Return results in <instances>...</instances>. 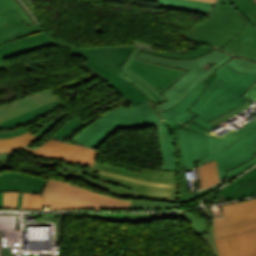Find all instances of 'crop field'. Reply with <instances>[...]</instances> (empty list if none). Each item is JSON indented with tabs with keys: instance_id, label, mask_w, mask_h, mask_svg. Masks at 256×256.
Instances as JSON below:
<instances>
[{
	"instance_id": "c035e120",
	"label": "crop field",
	"mask_w": 256,
	"mask_h": 256,
	"mask_svg": "<svg viewBox=\"0 0 256 256\" xmlns=\"http://www.w3.org/2000/svg\"><path fill=\"white\" fill-rule=\"evenodd\" d=\"M41 194H30L27 209H42L43 199Z\"/></svg>"
},
{
	"instance_id": "d23c7cc5",
	"label": "crop field",
	"mask_w": 256,
	"mask_h": 256,
	"mask_svg": "<svg viewBox=\"0 0 256 256\" xmlns=\"http://www.w3.org/2000/svg\"><path fill=\"white\" fill-rule=\"evenodd\" d=\"M5 68H7L5 62H1L0 63V69H5Z\"/></svg>"
},
{
	"instance_id": "c21b1889",
	"label": "crop field",
	"mask_w": 256,
	"mask_h": 256,
	"mask_svg": "<svg viewBox=\"0 0 256 256\" xmlns=\"http://www.w3.org/2000/svg\"><path fill=\"white\" fill-rule=\"evenodd\" d=\"M25 6L30 10V12L32 13V15L35 17V19L38 21L37 19V14H36V10H35V6L34 4L31 2V0H21Z\"/></svg>"
},
{
	"instance_id": "a9b5d70f",
	"label": "crop field",
	"mask_w": 256,
	"mask_h": 256,
	"mask_svg": "<svg viewBox=\"0 0 256 256\" xmlns=\"http://www.w3.org/2000/svg\"><path fill=\"white\" fill-rule=\"evenodd\" d=\"M173 134V140L175 142L176 151L179 158V165H178V186H179V193H189L188 184H187V177L185 173V167L183 163V156L181 145L178 137V132L175 131Z\"/></svg>"
},
{
	"instance_id": "4a817a6b",
	"label": "crop field",
	"mask_w": 256,
	"mask_h": 256,
	"mask_svg": "<svg viewBox=\"0 0 256 256\" xmlns=\"http://www.w3.org/2000/svg\"><path fill=\"white\" fill-rule=\"evenodd\" d=\"M110 48L111 47L94 48V49L71 48L69 53L83 56V57L89 59L90 61H92L94 64H96L101 69L106 66L118 74L120 71H122V69L104 59L105 55L110 50Z\"/></svg>"
},
{
	"instance_id": "ac0d7876",
	"label": "crop field",
	"mask_w": 256,
	"mask_h": 256,
	"mask_svg": "<svg viewBox=\"0 0 256 256\" xmlns=\"http://www.w3.org/2000/svg\"><path fill=\"white\" fill-rule=\"evenodd\" d=\"M137 57L147 61L187 70V72L179 80H177L162 94L168 100L156 107V110L160 113L180 102L182 98L188 94L199 81L205 82V80L213 74V71L216 68L224 64L232 56L215 50L195 60L168 59L155 55H149L143 52H140ZM212 62L217 63L210 70L207 71L200 68L203 64Z\"/></svg>"
},
{
	"instance_id": "425ffa30",
	"label": "crop field",
	"mask_w": 256,
	"mask_h": 256,
	"mask_svg": "<svg viewBox=\"0 0 256 256\" xmlns=\"http://www.w3.org/2000/svg\"><path fill=\"white\" fill-rule=\"evenodd\" d=\"M200 1H206V2H212L215 3L216 0H200Z\"/></svg>"
},
{
	"instance_id": "d32e631a",
	"label": "crop field",
	"mask_w": 256,
	"mask_h": 256,
	"mask_svg": "<svg viewBox=\"0 0 256 256\" xmlns=\"http://www.w3.org/2000/svg\"><path fill=\"white\" fill-rule=\"evenodd\" d=\"M224 181H222L221 183H219L218 185L210 188V189H205V190H201L199 192L196 193H191V194H180V200L179 203H187L189 201L195 200L201 196H203L204 194H206L207 192L216 189L218 186H220Z\"/></svg>"
},
{
	"instance_id": "25e5ab78",
	"label": "crop field",
	"mask_w": 256,
	"mask_h": 256,
	"mask_svg": "<svg viewBox=\"0 0 256 256\" xmlns=\"http://www.w3.org/2000/svg\"><path fill=\"white\" fill-rule=\"evenodd\" d=\"M179 206H181V205H176V207H175V208H177V207H179Z\"/></svg>"
},
{
	"instance_id": "0bd39190",
	"label": "crop field",
	"mask_w": 256,
	"mask_h": 256,
	"mask_svg": "<svg viewBox=\"0 0 256 256\" xmlns=\"http://www.w3.org/2000/svg\"><path fill=\"white\" fill-rule=\"evenodd\" d=\"M206 243L211 247L214 256H219L217 247H216V239H215V232L214 226H209V235L202 236Z\"/></svg>"
},
{
	"instance_id": "733c2abd",
	"label": "crop field",
	"mask_w": 256,
	"mask_h": 256,
	"mask_svg": "<svg viewBox=\"0 0 256 256\" xmlns=\"http://www.w3.org/2000/svg\"><path fill=\"white\" fill-rule=\"evenodd\" d=\"M159 2L157 7L207 14L212 3L194 0H149Z\"/></svg>"
},
{
	"instance_id": "dd49c442",
	"label": "crop field",
	"mask_w": 256,
	"mask_h": 256,
	"mask_svg": "<svg viewBox=\"0 0 256 256\" xmlns=\"http://www.w3.org/2000/svg\"><path fill=\"white\" fill-rule=\"evenodd\" d=\"M220 256H256V220L215 226Z\"/></svg>"
},
{
	"instance_id": "b54c1fbb",
	"label": "crop field",
	"mask_w": 256,
	"mask_h": 256,
	"mask_svg": "<svg viewBox=\"0 0 256 256\" xmlns=\"http://www.w3.org/2000/svg\"><path fill=\"white\" fill-rule=\"evenodd\" d=\"M28 197H29V193H24L23 203H22V208L21 209H26Z\"/></svg>"
},
{
	"instance_id": "b80d0937",
	"label": "crop field",
	"mask_w": 256,
	"mask_h": 256,
	"mask_svg": "<svg viewBox=\"0 0 256 256\" xmlns=\"http://www.w3.org/2000/svg\"><path fill=\"white\" fill-rule=\"evenodd\" d=\"M50 44L61 45V44H58V43H56V42L50 40V41H47V42H45V43L39 44V45L34 46V47H31V48H27V49H23V50L11 52V53L6 54V55H2V56H0V62H1V61H4L3 59L6 58V57H10V56L17 55V54H20V53H24V52H28V51H31V50H35V49H38V48H42V47L48 46V45H50Z\"/></svg>"
},
{
	"instance_id": "5866460e",
	"label": "crop field",
	"mask_w": 256,
	"mask_h": 256,
	"mask_svg": "<svg viewBox=\"0 0 256 256\" xmlns=\"http://www.w3.org/2000/svg\"><path fill=\"white\" fill-rule=\"evenodd\" d=\"M18 192H4L3 209H16Z\"/></svg>"
},
{
	"instance_id": "bd1437ed",
	"label": "crop field",
	"mask_w": 256,
	"mask_h": 256,
	"mask_svg": "<svg viewBox=\"0 0 256 256\" xmlns=\"http://www.w3.org/2000/svg\"><path fill=\"white\" fill-rule=\"evenodd\" d=\"M174 205L169 203L132 201L128 209H173Z\"/></svg>"
},
{
	"instance_id": "8a807250",
	"label": "crop field",
	"mask_w": 256,
	"mask_h": 256,
	"mask_svg": "<svg viewBox=\"0 0 256 256\" xmlns=\"http://www.w3.org/2000/svg\"><path fill=\"white\" fill-rule=\"evenodd\" d=\"M255 80L256 74L237 73L224 64L168 111L159 114L147 102L129 108L121 105L89 125L72 143L97 149L118 129L156 127L163 158L160 170H177L170 132L178 129L186 171L216 159L221 181L228 169L256 157V119L220 136L211 131L220 124L214 127L207 121L243 103L251 106L239 96Z\"/></svg>"
},
{
	"instance_id": "28ad6ade",
	"label": "crop field",
	"mask_w": 256,
	"mask_h": 256,
	"mask_svg": "<svg viewBox=\"0 0 256 256\" xmlns=\"http://www.w3.org/2000/svg\"><path fill=\"white\" fill-rule=\"evenodd\" d=\"M84 64L88 65L89 67L93 68L97 72L101 73L105 78L110 80L107 84L113 87L117 92H119L124 98H126L132 106L150 100L146 95H144L141 90L136 88L134 85L130 84L116 73L112 72L111 70L98 68L92 62L87 60Z\"/></svg>"
},
{
	"instance_id": "d8731c3e",
	"label": "crop field",
	"mask_w": 256,
	"mask_h": 256,
	"mask_svg": "<svg viewBox=\"0 0 256 256\" xmlns=\"http://www.w3.org/2000/svg\"><path fill=\"white\" fill-rule=\"evenodd\" d=\"M34 154L67 161L91 165L93 164L98 152L65 142L49 139L36 149L24 148Z\"/></svg>"
},
{
	"instance_id": "120bbe31",
	"label": "crop field",
	"mask_w": 256,
	"mask_h": 256,
	"mask_svg": "<svg viewBox=\"0 0 256 256\" xmlns=\"http://www.w3.org/2000/svg\"><path fill=\"white\" fill-rule=\"evenodd\" d=\"M92 170L97 171L100 174H104V175H107V176L123 179V180H126V181L138 183V184H143V185H148V186H162V187L178 188L177 185H173V184H163V183L140 181V180L132 179V178H129V177H125V176H121V175H117V174H113V173H109V172H105V171H101V170H96V169H92Z\"/></svg>"
},
{
	"instance_id": "5d738f31",
	"label": "crop field",
	"mask_w": 256,
	"mask_h": 256,
	"mask_svg": "<svg viewBox=\"0 0 256 256\" xmlns=\"http://www.w3.org/2000/svg\"><path fill=\"white\" fill-rule=\"evenodd\" d=\"M3 193H0V209H2Z\"/></svg>"
},
{
	"instance_id": "d1516ede",
	"label": "crop field",
	"mask_w": 256,
	"mask_h": 256,
	"mask_svg": "<svg viewBox=\"0 0 256 256\" xmlns=\"http://www.w3.org/2000/svg\"><path fill=\"white\" fill-rule=\"evenodd\" d=\"M10 23L0 27V44L36 31H42L38 24L26 26L21 17L11 8L1 13Z\"/></svg>"
},
{
	"instance_id": "d3111659",
	"label": "crop field",
	"mask_w": 256,
	"mask_h": 256,
	"mask_svg": "<svg viewBox=\"0 0 256 256\" xmlns=\"http://www.w3.org/2000/svg\"><path fill=\"white\" fill-rule=\"evenodd\" d=\"M226 64H228L237 72L256 73V62H251L234 57Z\"/></svg>"
},
{
	"instance_id": "750c4746",
	"label": "crop field",
	"mask_w": 256,
	"mask_h": 256,
	"mask_svg": "<svg viewBox=\"0 0 256 256\" xmlns=\"http://www.w3.org/2000/svg\"><path fill=\"white\" fill-rule=\"evenodd\" d=\"M84 124L86 123L74 117L65 125H63L52 137L60 140H64L72 130L75 131Z\"/></svg>"
},
{
	"instance_id": "5a996713",
	"label": "crop field",
	"mask_w": 256,
	"mask_h": 256,
	"mask_svg": "<svg viewBox=\"0 0 256 256\" xmlns=\"http://www.w3.org/2000/svg\"><path fill=\"white\" fill-rule=\"evenodd\" d=\"M246 25L243 32L222 50L233 55L256 61V20L250 15L238 12Z\"/></svg>"
},
{
	"instance_id": "e52e79f7",
	"label": "crop field",
	"mask_w": 256,
	"mask_h": 256,
	"mask_svg": "<svg viewBox=\"0 0 256 256\" xmlns=\"http://www.w3.org/2000/svg\"><path fill=\"white\" fill-rule=\"evenodd\" d=\"M92 176L97 177V178L102 179V180H106V181L115 183V184H119V185H123V186H127V187H130V188L139 190V192L131 191V190H125L123 188H119V187H116V186H113V185H109V184H106L104 182H101V181H98V180H95V179H91V178H87V177L83 178L87 182H89L90 184H92L94 186H97V187H100L104 190L111 191V192H113L117 195L146 197L148 199H159V200H166V201L175 202L174 197H175L176 189L161 188V187H148V186L138 185V184H134V183L114 179V178H111V177L103 176V175L98 174L97 172L93 173Z\"/></svg>"
},
{
	"instance_id": "22f410ed",
	"label": "crop field",
	"mask_w": 256,
	"mask_h": 256,
	"mask_svg": "<svg viewBox=\"0 0 256 256\" xmlns=\"http://www.w3.org/2000/svg\"><path fill=\"white\" fill-rule=\"evenodd\" d=\"M93 168L106 170L141 180L177 184V171H155L149 169H142L140 172H136L106 166L98 163H95Z\"/></svg>"
},
{
	"instance_id": "4177f3b9",
	"label": "crop field",
	"mask_w": 256,
	"mask_h": 256,
	"mask_svg": "<svg viewBox=\"0 0 256 256\" xmlns=\"http://www.w3.org/2000/svg\"><path fill=\"white\" fill-rule=\"evenodd\" d=\"M34 138L36 137L29 132L13 138L0 139V152L19 149L29 143Z\"/></svg>"
},
{
	"instance_id": "92a150f3",
	"label": "crop field",
	"mask_w": 256,
	"mask_h": 256,
	"mask_svg": "<svg viewBox=\"0 0 256 256\" xmlns=\"http://www.w3.org/2000/svg\"><path fill=\"white\" fill-rule=\"evenodd\" d=\"M56 99H57L56 96L54 94H52L50 96L35 100L33 102L27 103L25 105H22V106H19L17 108L6 111L4 113H1L0 114V122L4 121V120H7V119H10L12 117H15L17 115H20L22 113H25L27 111H30L32 109H35L37 107H40V106H42L44 104H47L49 102H52Z\"/></svg>"
},
{
	"instance_id": "e1f06a70",
	"label": "crop field",
	"mask_w": 256,
	"mask_h": 256,
	"mask_svg": "<svg viewBox=\"0 0 256 256\" xmlns=\"http://www.w3.org/2000/svg\"><path fill=\"white\" fill-rule=\"evenodd\" d=\"M256 164V158L228 171V179L227 180H230L232 179L233 177L237 176L238 174H240L241 172L247 170L249 167L253 166Z\"/></svg>"
},
{
	"instance_id": "1d83c4d3",
	"label": "crop field",
	"mask_w": 256,
	"mask_h": 256,
	"mask_svg": "<svg viewBox=\"0 0 256 256\" xmlns=\"http://www.w3.org/2000/svg\"><path fill=\"white\" fill-rule=\"evenodd\" d=\"M235 7L243 13H250L256 19V1L255 0H229Z\"/></svg>"
},
{
	"instance_id": "ae1a2a85",
	"label": "crop field",
	"mask_w": 256,
	"mask_h": 256,
	"mask_svg": "<svg viewBox=\"0 0 256 256\" xmlns=\"http://www.w3.org/2000/svg\"><path fill=\"white\" fill-rule=\"evenodd\" d=\"M10 7H12L23 18L26 25L32 23V21L29 19V17L26 15V13L23 11V9L18 5V3L15 0H0V12ZM6 23H8V21L0 15V26Z\"/></svg>"
},
{
	"instance_id": "cbeb9de0",
	"label": "crop field",
	"mask_w": 256,
	"mask_h": 256,
	"mask_svg": "<svg viewBox=\"0 0 256 256\" xmlns=\"http://www.w3.org/2000/svg\"><path fill=\"white\" fill-rule=\"evenodd\" d=\"M224 218L214 220L215 225L256 219V199L222 205Z\"/></svg>"
},
{
	"instance_id": "3316defc",
	"label": "crop field",
	"mask_w": 256,
	"mask_h": 256,
	"mask_svg": "<svg viewBox=\"0 0 256 256\" xmlns=\"http://www.w3.org/2000/svg\"><path fill=\"white\" fill-rule=\"evenodd\" d=\"M46 180L7 173L0 174V192L19 191L17 209L21 208L23 192L41 193L45 187Z\"/></svg>"
},
{
	"instance_id": "34b2d1b8",
	"label": "crop field",
	"mask_w": 256,
	"mask_h": 256,
	"mask_svg": "<svg viewBox=\"0 0 256 256\" xmlns=\"http://www.w3.org/2000/svg\"><path fill=\"white\" fill-rule=\"evenodd\" d=\"M140 51L141 48L135 47L126 63L122 66L124 70L118 75L141 89L156 106L167 100L161 94L179 79L185 73V70L138 59L136 56Z\"/></svg>"
},
{
	"instance_id": "730fd06b",
	"label": "crop field",
	"mask_w": 256,
	"mask_h": 256,
	"mask_svg": "<svg viewBox=\"0 0 256 256\" xmlns=\"http://www.w3.org/2000/svg\"><path fill=\"white\" fill-rule=\"evenodd\" d=\"M134 47L130 46H119V47H112L111 50L106 55L105 59L112 62L113 64L121 67Z\"/></svg>"
},
{
	"instance_id": "d9b57169",
	"label": "crop field",
	"mask_w": 256,
	"mask_h": 256,
	"mask_svg": "<svg viewBox=\"0 0 256 256\" xmlns=\"http://www.w3.org/2000/svg\"><path fill=\"white\" fill-rule=\"evenodd\" d=\"M64 103H62L61 101L57 100V101H54L52 103H49L47 105H44L40 108H37L35 110H32L30 112H27L25 114H22L20 116H17L15 118H12L10 120H7V121H4L2 123H0V128L2 129H8V128H11V127H14V126H18V125H21L29 120H32L60 105H62ZM25 132H28L26 129L24 128H21L19 130H16V131H13V132H10V133H5V134H0V138H8V137H13V136H17V135H20L22 133H25Z\"/></svg>"
},
{
	"instance_id": "f4fd0767",
	"label": "crop field",
	"mask_w": 256,
	"mask_h": 256,
	"mask_svg": "<svg viewBox=\"0 0 256 256\" xmlns=\"http://www.w3.org/2000/svg\"><path fill=\"white\" fill-rule=\"evenodd\" d=\"M236 10L228 0H217L208 17L183 36L221 49L242 32L245 23Z\"/></svg>"
},
{
	"instance_id": "412701ff",
	"label": "crop field",
	"mask_w": 256,
	"mask_h": 256,
	"mask_svg": "<svg viewBox=\"0 0 256 256\" xmlns=\"http://www.w3.org/2000/svg\"><path fill=\"white\" fill-rule=\"evenodd\" d=\"M68 182L49 179L42 193L44 206L51 210L127 209L130 201L88 191Z\"/></svg>"
},
{
	"instance_id": "03da06ac",
	"label": "crop field",
	"mask_w": 256,
	"mask_h": 256,
	"mask_svg": "<svg viewBox=\"0 0 256 256\" xmlns=\"http://www.w3.org/2000/svg\"><path fill=\"white\" fill-rule=\"evenodd\" d=\"M131 43L133 45H139V46H144V47H148V48H152L154 46L153 44L144 43V42H140V41H132Z\"/></svg>"
},
{
	"instance_id": "028f5c9d",
	"label": "crop field",
	"mask_w": 256,
	"mask_h": 256,
	"mask_svg": "<svg viewBox=\"0 0 256 256\" xmlns=\"http://www.w3.org/2000/svg\"><path fill=\"white\" fill-rule=\"evenodd\" d=\"M247 108H249V106L244 104V105H242V106H240L238 108H235V109H233V110H231V111L221 115L220 117H218V118H216L214 120L209 121L208 123H210L212 125H216V124L221 123L222 121L230 118L231 116H233V115H235V114H237V113H239V112H241V111H243V110H245Z\"/></svg>"
},
{
	"instance_id": "eef30255",
	"label": "crop field",
	"mask_w": 256,
	"mask_h": 256,
	"mask_svg": "<svg viewBox=\"0 0 256 256\" xmlns=\"http://www.w3.org/2000/svg\"><path fill=\"white\" fill-rule=\"evenodd\" d=\"M174 214L177 217H183L186 220H188L191 223L195 234H201V235L208 234L207 222L203 218H200L199 216H194L189 213H174Z\"/></svg>"
},
{
	"instance_id": "dafd665d",
	"label": "crop field",
	"mask_w": 256,
	"mask_h": 256,
	"mask_svg": "<svg viewBox=\"0 0 256 256\" xmlns=\"http://www.w3.org/2000/svg\"><path fill=\"white\" fill-rule=\"evenodd\" d=\"M214 50L211 47L204 46L199 49L190 52H159L142 49L143 52L155 54L162 57L177 58V59H194L203 56L204 54Z\"/></svg>"
},
{
	"instance_id": "00972430",
	"label": "crop field",
	"mask_w": 256,
	"mask_h": 256,
	"mask_svg": "<svg viewBox=\"0 0 256 256\" xmlns=\"http://www.w3.org/2000/svg\"><path fill=\"white\" fill-rule=\"evenodd\" d=\"M202 189L212 186L219 182L216 162L213 161L198 167Z\"/></svg>"
},
{
	"instance_id": "bc2a9ffb",
	"label": "crop field",
	"mask_w": 256,
	"mask_h": 256,
	"mask_svg": "<svg viewBox=\"0 0 256 256\" xmlns=\"http://www.w3.org/2000/svg\"><path fill=\"white\" fill-rule=\"evenodd\" d=\"M36 165L40 166H53L56 169L57 164H52L48 162H43V161H36ZM91 167L87 165H82V164H77V163H72V162H67L63 161V165L60 170L56 172V175L63 176L65 178H82L85 174L91 175L93 171L89 170ZM54 169V170H55Z\"/></svg>"
},
{
	"instance_id": "214f88e0",
	"label": "crop field",
	"mask_w": 256,
	"mask_h": 256,
	"mask_svg": "<svg viewBox=\"0 0 256 256\" xmlns=\"http://www.w3.org/2000/svg\"><path fill=\"white\" fill-rule=\"evenodd\" d=\"M47 40H50V39L46 36L45 32H42L38 35H34L31 37H27V38L13 41L10 43L2 44L0 47V55L9 53L14 50L34 46Z\"/></svg>"
},
{
	"instance_id": "5142ce71",
	"label": "crop field",
	"mask_w": 256,
	"mask_h": 256,
	"mask_svg": "<svg viewBox=\"0 0 256 256\" xmlns=\"http://www.w3.org/2000/svg\"><path fill=\"white\" fill-rule=\"evenodd\" d=\"M220 191L227 201L256 195V168Z\"/></svg>"
}]
</instances>
